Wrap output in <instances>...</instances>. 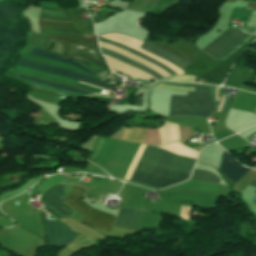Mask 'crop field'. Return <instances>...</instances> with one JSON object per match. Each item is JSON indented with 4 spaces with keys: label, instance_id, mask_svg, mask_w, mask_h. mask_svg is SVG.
Wrapping results in <instances>:
<instances>
[{
    "label": "crop field",
    "instance_id": "crop-field-11",
    "mask_svg": "<svg viewBox=\"0 0 256 256\" xmlns=\"http://www.w3.org/2000/svg\"><path fill=\"white\" fill-rule=\"evenodd\" d=\"M116 217L91 208L84 216L83 223L90 224L104 232L109 233Z\"/></svg>",
    "mask_w": 256,
    "mask_h": 256
},
{
    "label": "crop field",
    "instance_id": "crop-field-9",
    "mask_svg": "<svg viewBox=\"0 0 256 256\" xmlns=\"http://www.w3.org/2000/svg\"><path fill=\"white\" fill-rule=\"evenodd\" d=\"M42 199L47 206L60 217H67L72 214L63 205L64 198L62 186H57L49 190L43 195Z\"/></svg>",
    "mask_w": 256,
    "mask_h": 256
},
{
    "label": "crop field",
    "instance_id": "crop-field-14",
    "mask_svg": "<svg viewBox=\"0 0 256 256\" xmlns=\"http://www.w3.org/2000/svg\"><path fill=\"white\" fill-rule=\"evenodd\" d=\"M139 211L136 209H120L114 226L135 230Z\"/></svg>",
    "mask_w": 256,
    "mask_h": 256
},
{
    "label": "crop field",
    "instance_id": "crop-field-6",
    "mask_svg": "<svg viewBox=\"0 0 256 256\" xmlns=\"http://www.w3.org/2000/svg\"><path fill=\"white\" fill-rule=\"evenodd\" d=\"M53 39L64 44L63 58L69 60L72 54V43H87L89 45L97 46L96 38L93 35H47L42 49L50 51Z\"/></svg>",
    "mask_w": 256,
    "mask_h": 256
},
{
    "label": "crop field",
    "instance_id": "crop-field-35",
    "mask_svg": "<svg viewBox=\"0 0 256 256\" xmlns=\"http://www.w3.org/2000/svg\"><path fill=\"white\" fill-rule=\"evenodd\" d=\"M34 93H38V94H41V95H44V96H47V97H50L52 98L55 93H51V92H47V91H43V90H39V89H35V88H31Z\"/></svg>",
    "mask_w": 256,
    "mask_h": 256
},
{
    "label": "crop field",
    "instance_id": "crop-field-5",
    "mask_svg": "<svg viewBox=\"0 0 256 256\" xmlns=\"http://www.w3.org/2000/svg\"><path fill=\"white\" fill-rule=\"evenodd\" d=\"M245 36L247 35L242 34L241 30L227 29L204 49H202V51L217 60L221 55H223Z\"/></svg>",
    "mask_w": 256,
    "mask_h": 256
},
{
    "label": "crop field",
    "instance_id": "crop-field-13",
    "mask_svg": "<svg viewBox=\"0 0 256 256\" xmlns=\"http://www.w3.org/2000/svg\"><path fill=\"white\" fill-rule=\"evenodd\" d=\"M107 63L109 64V66L111 67V69L120 72L122 74H125L129 77H134V78H141V79H152V80H156L154 79L152 76H150L149 74L138 70L136 68H133L129 65H126L122 62H119L113 58L104 56Z\"/></svg>",
    "mask_w": 256,
    "mask_h": 256
},
{
    "label": "crop field",
    "instance_id": "crop-field-1",
    "mask_svg": "<svg viewBox=\"0 0 256 256\" xmlns=\"http://www.w3.org/2000/svg\"><path fill=\"white\" fill-rule=\"evenodd\" d=\"M140 162L159 166L184 174H190L195 160L177 156L167 150L147 146ZM138 162L131 181L160 188L185 181L189 176Z\"/></svg>",
    "mask_w": 256,
    "mask_h": 256
},
{
    "label": "crop field",
    "instance_id": "crop-field-17",
    "mask_svg": "<svg viewBox=\"0 0 256 256\" xmlns=\"http://www.w3.org/2000/svg\"><path fill=\"white\" fill-rule=\"evenodd\" d=\"M99 44H100L101 48H104V49H107V50H110V51H113V52H117V53L123 54V55H125V56H127V57H129V58H131V59H133V60H135V61H137V62H139V63H141V64H143V65H145V66H147V67L157 71V72H159L163 77L169 76V74L167 72L163 71L162 69H160L156 65H154V64H152V63H150V62H148V61H146L144 59H141V58H139V57H137V56H135V55H133L131 53H128V52H126V51H124V50H122L120 48H117V47H114V46H111V45H108V44H104V43H101V42H99Z\"/></svg>",
    "mask_w": 256,
    "mask_h": 256
},
{
    "label": "crop field",
    "instance_id": "crop-field-27",
    "mask_svg": "<svg viewBox=\"0 0 256 256\" xmlns=\"http://www.w3.org/2000/svg\"><path fill=\"white\" fill-rule=\"evenodd\" d=\"M191 179L219 183V179L216 175L208 171L197 170V169L194 170Z\"/></svg>",
    "mask_w": 256,
    "mask_h": 256
},
{
    "label": "crop field",
    "instance_id": "crop-field-33",
    "mask_svg": "<svg viewBox=\"0 0 256 256\" xmlns=\"http://www.w3.org/2000/svg\"><path fill=\"white\" fill-rule=\"evenodd\" d=\"M156 87L170 89V90H176V91H194V88L173 87V86H167V85H162V84H159Z\"/></svg>",
    "mask_w": 256,
    "mask_h": 256
},
{
    "label": "crop field",
    "instance_id": "crop-field-22",
    "mask_svg": "<svg viewBox=\"0 0 256 256\" xmlns=\"http://www.w3.org/2000/svg\"><path fill=\"white\" fill-rule=\"evenodd\" d=\"M29 55H32V56H37V57H43V58H48V59H53V60H57V61H60V62H63V63H66V64H70V65H73L91 75H93L92 73H90L89 71H87L82 65L78 64V63H75V62H71V61H68V60H65L61 57H58V56H55L51 53H48L42 49H39V48H34L32 51H30L28 53ZM95 76V75H94ZM97 77V76H96Z\"/></svg>",
    "mask_w": 256,
    "mask_h": 256
},
{
    "label": "crop field",
    "instance_id": "crop-field-18",
    "mask_svg": "<svg viewBox=\"0 0 256 256\" xmlns=\"http://www.w3.org/2000/svg\"><path fill=\"white\" fill-rule=\"evenodd\" d=\"M83 192V189L73 187L65 202L84 215L91 207L80 200Z\"/></svg>",
    "mask_w": 256,
    "mask_h": 256
},
{
    "label": "crop field",
    "instance_id": "crop-field-32",
    "mask_svg": "<svg viewBox=\"0 0 256 256\" xmlns=\"http://www.w3.org/2000/svg\"><path fill=\"white\" fill-rule=\"evenodd\" d=\"M208 91H209V87H208ZM210 94H211L212 101H213L214 105L216 106V104L218 102V87L217 86H211L210 87ZM213 103H212V105H213ZM214 105H213V109H214Z\"/></svg>",
    "mask_w": 256,
    "mask_h": 256
},
{
    "label": "crop field",
    "instance_id": "crop-field-25",
    "mask_svg": "<svg viewBox=\"0 0 256 256\" xmlns=\"http://www.w3.org/2000/svg\"><path fill=\"white\" fill-rule=\"evenodd\" d=\"M247 9L256 12V1L248 0ZM252 13L244 32L256 35V13Z\"/></svg>",
    "mask_w": 256,
    "mask_h": 256
},
{
    "label": "crop field",
    "instance_id": "crop-field-24",
    "mask_svg": "<svg viewBox=\"0 0 256 256\" xmlns=\"http://www.w3.org/2000/svg\"><path fill=\"white\" fill-rule=\"evenodd\" d=\"M97 38L100 41H103L105 43H108V44H111V45H114V46H117V47H120V48H123V49H125V50H127V51H129V52H131V53H133V54H135L137 56H139V57H142V58H144V59H146V60L156 64L160 68L166 70L170 75L175 74V72L172 71L171 69H169L168 67H166V66L160 64L159 62H157V61H155V60H153V59H151V58H149V57H147V56H145V55H143V54H141L139 52H136V51H134V50L124 46V45H121V44H118V43H115V42H112V41H109V40H105V39H102V38H99V37H97Z\"/></svg>",
    "mask_w": 256,
    "mask_h": 256
},
{
    "label": "crop field",
    "instance_id": "crop-field-4",
    "mask_svg": "<svg viewBox=\"0 0 256 256\" xmlns=\"http://www.w3.org/2000/svg\"><path fill=\"white\" fill-rule=\"evenodd\" d=\"M18 65L23 66V67H29V68L41 70V71H44V72H47L50 74L86 82V83L93 84V85H96L99 87H103V88H106L109 90H111V88H112V85L104 83L98 79H95V78H92V77H89V76H86L83 74H79L76 72L60 69V68H57L54 66L46 65V64H41V63H36V62L21 59V60H19Z\"/></svg>",
    "mask_w": 256,
    "mask_h": 256
},
{
    "label": "crop field",
    "instance_id": "crop-field-16",
    "mask_svg": "<svg viewBox=\"0 0 256 256\" xmlns=\"http://www.w3.org/2000/svg\"><path fill=\"white\" fill-rule=\"evenodd\" d=\"M39 18L53 20V21H61V22L70 21V18L68 16L66 9L50 8V7H42Z\"/></svg>",
    "mask_w": 256,
    "mask_h": 256
},
{
    "label": "crop field",
    "instance_id": "crop-field-12",
    "mask_svg": "<svg viewBox=\"0 0 256 256\" xmlns=\"http://www.w3.org/2000/svg\"><path fill=\"white\" fill-rule=\"evenodd\" d=\"M220 169L223 173L234 179L235 181H239L243 175L249 170L241 166L235 160H233L226 152H224L222 156V163Z\"/></svg>",
    "mask_w": 256,
    "mask_h": 256
},
{
    "label": "crop field",
    "instance_id": "crop-field-20",
    "mask_svg": "<svg viewBox=\"0 0 256 256\" xmlns=\"http://www.w3.org/2000/svg\"><path fill=\"white\" fill-rule=\"evenodd\" d=\"M100 49H101V48H100ZM101 52H102V54H104V55L113 57V58H115V59H117V60H120V61H122V62H124V63H126V64H129V65H131V66H133V67H136V68H138V69H141V70H143V71L149 73L150 75H152V76L155 77L156 79L162 78V76H161L160 74H158L157 72H155V71H153V70H151V69H149V68H147V67H145V66H143V65H140V64H138V63H136V62H134V61H132V60H130V59H128V58H126V57L120 55V54H116V53H113V52H110V51H107V50H104V49H101Z\"/></svg>",
    "mask_w": 256,
    "mask_h": 256
},
{
    "label": "crop field",
    "instance_id": "crop-field-8",
    "mask_svg": "<svg viewBox=\"0 0 256 256\" xmlns=\"http://www.w3.org/2000/svg\"><path fill=\"white\" fill-rule=\"evenodd\" d=\"M17 74H22V75H26V76H31V77H35V78H39V79H44V80H48V81H52V82L65 84V85H70V86H74V87H78V88H82V89H87V90H91V91H95V92H99V93L101 91L99 89L92 88V87H96V86H93V85H89V84H86V83H82V82H78V81L73 80V82L85 84V85L92 86V87L84 86V85H81V84L73 83V82H71L70 79L50 75V74H47V73H44V72H41V71H37V70H33V69L18 67ZM96 88H99V87H96ZM100 89H102V88H100ZM102 90H106V89H102ZM106 91H109V90H106Z\"/></svg>",
    "mask_w": 256,
    "mask_h": 256
},
{
    "label": "crop field",
    "instance_id": "crop-field-29",
    "mask_svg": "<svg viewBox=\"0 0 256 256\" xmlns=\"http://www.w3.org/2000/svg\"><path fill=\"white\" fill-rule=\"evenodd\" d=\"M40 34H81L76 29L40 28Z\"/></svg>",
    "mask_w": 256,
    "mask_h": 256
},
{
    "label": "crop field",
    "instance_id": "crop-field-15",
    "mask_svg": "<svg viewBox=\"0 0 256 256\" xmlns=\"http://www.w3.org/2000/svg\"><path fill=\"white\" fill-rule=\"evenodd\" d=\"M140 48L174 64L175 66L179 67L183 71L188 66V64L182 62L181 60L175 58L174 56L168 54L167 52L163 51L162 49L156 47L155 45H153L149 42H144Z\"/></svg>",
    "mask_w": 256,
    "mask_h": 256
},
{
    "label": "crop field",
    "instance_id": "crop-field-28",
    "mask_svg": "<svg viewBox=\"0 0 256 256\" xmlns=\"http://www.w3.org/2000/svg\"><path fill=\"white\" fill-rule=\"evenodd\" d=\"M16 78L26 79V80L34 81V82L41 83L44 85H48V86H52V87H56V88H60V89H64V90L74 91V92H80V93H86V94L92 93V92H87V91H83V90H79V89H75V88H71V87H67V86H63V85L35 79V78L20 76V75H17Z\"/></svg>",
    "mask_w": 256,
    "mask_h": 256
},
{
    "label": "crop field",
    "instance_id": "crop-field-19",
    "mask_svg": "<svg viewBox=\"0 0 256 256\" xmlns=\"http://www.w3.org/2000/svg\"><path fill=\"white\" fill-rule=\"evenodd\" d=\"M159 131L162 145L180 140L176 124L165 122Z\"/></svg>",
    "mask_w": 256,
    "mask_h": 256
},
{
    "label": "crop field",
    "instance_id": "crop-field-7",
    "mask_svg": "<svg viewBox=\"0 0 256 256\" xmlns=\"http://www.w3.org/2000/svg\"><path fill=\"white\" fill-rule=\"evenodd\" d=\"M47 243L46 246L62 247L68 244L75 236V233L67 226L46 220Z\"/></svg>",
    "mask_w": 256,
    "mask_h": 256
},
{
    "label": "crop field",
    "instance_id": "crop-field-34",
    "mask_svg": "<svg viewBox=\"0 0 256 256\" xmlns=\"http://www.w3.org/2000/svg\"><path fill=\"white\" fill-rule=\"evenodd\" d=\"M168 80L194 83V77H189V76H177Z\"/></svg>",
    "mask_w": 256,
    "mask_h": 256
},
{
    "label": "crop field",
    "instance_id": "crop-field-10",
    "mask_svg": "<svg viewBox=\"0 0 256 256\" xmlns=\"http://www.w3.org/2000/svg\"><path fill=\"white\" fill-rule=\"evenodd\" d=\"M99 37H102V38H106V39H109V40H112V41H115V42H118V43H121V44H124L130 48H133L157 61H159L160 63L168 66L169 68L173 69L174 71H176L179 75H182L184 74L183 71H181L179 68L175 67L174 65L156 57V56H153L149 53H147L146 51L140 49L139 47L141 46L142 44V41H138V40H134V39H131L125 35H121V34H117V33H110V34H106V35H102V36H99ZM175 72V73H176Z\"/></svg>",
    "mask_w": 256,
    "mask_h": 256
},
{
    "label": "crop field",
    "instance_id": "crop-field-36",
    "mask_svg": "<svg viewBox=\"0 0 256 256\" xmlns=\"http://www.w3.org/2000/svg\"><path fill=\"white\" fill-rule=\"evenodd\" d=\"M255 193H256V191H255Z\"/></svg>",
    "mask_w": 256,
    "mask_h": 256
},
{
    "label": "crop field",
    "instance_id": "crop-field-30",
    "mask_svg": "<svg viewBox=\"0 0 256 256\" xmlns=\"http://www.w3.org/2000/svg\"><path fill=\"white\" fill-rule=\"evenodd\" d=\"M39 27L74 28L72 23H52L39 20Z\"/></svg>",
    "mask_w": 256,
    "mask_h": 256
},
{
    "label": "crop field",
    "instance_id": "crop-field-2",
    "mask_svg": "<svg viewBox=\"0 0 256 256\" xmlns=\"http://www.w3.org/2000/svg\"><path fill=\"white\" fill-rule=\"evenodd\" d=\"M188 96H173L169 116L195 115L208 117L212 111L207 89L195 88Z\"/></svg>",
    "mask_w": 256,
    "mask_h": 256
},
{
    "label": "crop field",
    "instance_id": "crop-field-31",
    "mask_svg": "<svg viewBox=\"0 0 256 256\" xmlns=\"http://www.w3.org/2000/svg\"><path fill=\"white\" fill-rule=\"evenodd\" d=\"M251 37H252L251 35H248L247 37H245L242 41H240L238 44H236L233 48H231L228 52H226L219 59L224 61L227 56H229L232 52H234L237 48H239L242 44H244Z\"/></svg>",
    "mask_w": 256,
    "mask_h": 256
},
{
    "label": "crop field",
    "instance_id": "crop-field-3",
    "mask_svg": "<svg viewBox=\"0 0 256 256\" xmlns=\"http://www.w3.org/2000/svg\"><path fill=\"white\" fill-rule=\"evenodd\" d=\"M101 57L98 47L87 44H73L71 60L81 63L94 74L107 72Z\"/></svg>",
    "mask_w": 256,
    "mask_h": 256
},
{
    "label": "crop field",
    "instance_id": "crop-field-21",
    "mask_svg": "<svg viewBox=\"0 0 256 256\" xmlns=\"http://www.w3.org/2000/svg\"><path fill=\"white\" fill-rule=\"evenodd\" d=\"M145 131L144 128H125L121 139L143 144Z\"/></svg>",
    "mask_w": 256,
    "mask_h": 256
},
{
    "label": "crop field",
    "instance_id": "crop-field-23",
    "mask_svg": "<svg viewBox=\"0 0 256 256\" xmlns=\"http://www.w3.org/2000/svg\"><path fill=\"white\" fill-rule=\"evenodd\" d=\"M161 147L163 149H167L177 155H181V156H186V157H191V158H195L198 155V152L183 146L182 144L176 142L174 144H170V145H165V146H158Z\"/></svg>",
    "mask_w": 256,
    "mask_h": 256
},
{
    "label": "crop field",
    "instance_id": "crop-field-26",
    "mask_svg": "<svg viewBox=\"0 0 256 256\" xmlns=\"http://www.w3.org/2000/svg\"><path fill=\"white\" fill-rule=\"evenodd\" d=\"M22 58H26V59H31V60H35V61H39V62H43V63H47V64H50V65H54V66H57V67H60V68H64V69H68V70H72V71H76V72H80V73H83V74H86V75H89L75 67H71L69 65H66V64H63V63H60V62H57V61H53V60H48V59H42V58H37V57H32V56H29V55H24ZM91 76V75H89ZM94 77V76H92ZM96 78V77H95Z\"/></svg>",
    "mask_w": 256,
    "mask_h": 256
}]
</instances>
